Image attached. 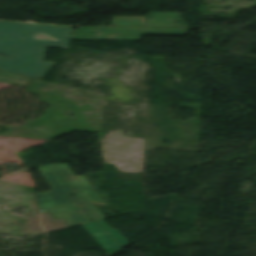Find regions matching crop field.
<instances>
[{
  "mask_svg": "<svg viewBox=\"0 0 256 256\" xmlns=\"http://www.w3.org/2000/svg\"><path fill=\"white\" fill-rule=\"evenodd\" d=\"M35 32L56 41L35 40ZM72 28L0 22V70L41 78L54 62L44 61L46 47L67 48ZM36 33V34H37Z\"/></svg>",
  "mask_w": 256,
  "mask_h": 256,
  "instance_id": "crop-field-1",
  "label": "crop field"
},
{
  "mask_svg": "<svg viewBox=\"0 0 256 256\" xmlns=\"http://www.w3.org/2000/svg\"><path fill=\"white\" fill-rule=\"evenodd\" d=\"M75 191L77 196L72 197L79 206L93 220L105 217L93 203L105 204L94 189L78 192L77 190L88 189V184L83 175L75 176L67 164H56ZM39 170L46 178L53 190L38 194V202L41 209L52 212L58 218L67 220L71 226L90 222V219L68 198L74 195V191L60 174L54 164L40 167Z\"/></svg>",
  "mask_w": 256,
  "mask_h": 256,
  "instance_id": "crop-field-2",
  "label": "crop field"
},
{
  "mask_svg": "<svg viewBox=\"0 0 256 256\" xmlns=\"http://www.w3.org/2000/svg\"><path fill=\"white\" fill-rule=\"evenodd\" d=\"M71 39L140 40L141 35H186L187 28L79 27Z\"/></svg>",
  "mask_w": 256,
  "mask_h": 256,
  "instance_id": "crop-field-3",
  "label": "crop field"
},
{
  "mask_svg": "<svg viewBox=\"0 0 256 256\" xmlns=\"http://www.w3.org/2000/svg\"><path fill=\"white\" fill-rule=\"evenodd\" d=\"M110 26L188 27L181 13L166 12H150L148 17H113Z\"/></svg>",
  "mask_w": 256,
  "mask_h": 256,
  "instance_id": "crop-field-4",
  "label": "crop field"
},
{
  "mask_svg": "<svg viewBox=\"0 0 256 256\" xmlns=\"http://www.w3.org/2000/svg\"><path fill=\"white\" fill-rule=\"evenodd\" d=\"M96 222H99L121 246L119 247ZM83 226L109 255L128 243L117 230L111 229L103 220L83 224Z\"/></svg>",
  "mask_w": 256,
  "mask_h": 256,
  "instance_id": "crop-field-5",
  "label": "crop field"
},
{
  "mask_svg": "<svg viewBox=\"0 0 256 256\" xmlns=\"http://www.w3.org/2000/svg\"><path fill=\"white\" fill-rule=\"evenodd\" d=\"M28 80H29L28 77L10 75V74L0 72V82H3V83L24 87L25 84L28 82Z\"/></svg>",
  "mask_w": 256,
  "mask_h": 256,
  "instance_id": "crop-field-6",
  "label": "crop field"
},
{
  "mask_svg": "<svg viewBox=\"0 0 256 256\" xmlns=\"http://www.w3.org/2000/svg\"><path fill=\"white\" fill-rule=\"evenodd\" d=\"M35 38H36V39H46V40H52V39H49V38H47V37H44V36H42V35H39V34H36Z\"/></svg>",
  "mask_w": 256,
  "mask_h": 256,
  "instance_id": "crop-field-7",
  "label": "crop field"
}]
</instances>
